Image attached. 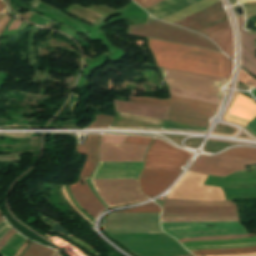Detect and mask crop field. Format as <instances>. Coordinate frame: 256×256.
Segmentation results:
<instances>
[{
	"instance_id": "1",
	"label": "crop field",
	"mask_w": 256,
	"mask_h": 256,
	"mask_svg": "<svg viewBox=\"0 0 256 256\" xmlns=\"http://www.w3.org/2000/svg\"><path fill=\"white\" fill-rule=\"evenodd\" d=\"M149 146L100 143V161H126L143 163ZM126 162H99L91 179L138 178L143 164ZM100 197L110 207L147 200L139 188L138 179L91 180Z\"/></svg>"
},
{
	"instance_id": "2",
	"label": "crop field",
	"mask_w": 256,
	"mask_h": 256,
	"mask_svg": "<svg viewBox=\"0 0 256 256\" xmlns=\"http://www.w3.org/2000/svg\"><path fill=\"white\" fill-rule=\"evenodd\" d=\"M157 65L176 70L230 77L233 62L224 55L196 47L149 39Z\"/></svg>"
},
{
	"instance_id": "3",
	"label": "crop field",
	"mask_w": 256,
	"mask_h": 256,
	"mask_svg": "<svg viewBox=\"0 0 256 256\" xmlns=\"http://www.w3.org/2000/svg\"><path fill=\"white\" fill-rule=\"evenodd\" d=\"M127 34L151 37L219 51L207 38L182 27L158 21L148 15L146 24L128 26Z\"/></svg>"
},
{
	"instance_id": "4",
	"label": "crop field",
	"mask_w": 256,
	"mask_h": 256,
	"mask_svg": "<svg viewBox=\"0 0 256 256\" xmlns=\"http://www.w3.org/2000/svg\"><path fill=\"white\" fill-rule=\"evenodd\" d=\"M160 213H123L111 214L104 218L103 229L106 232H143L163 233L159 225Z\"/></svg>"
},
{
	"instance_id": "5",
	"label": "crop field",
	"mask_w": 256,
	"mask_h": 256,
	"mask_svg": "<svg viewBox=\"0 0 256 256\" xmlns=\"http://www.w3.org/2000/svg\"><path fill=\"white\" fill-rule=\"evenodd\" d=\"M167 86L223 96L220 88L229 80L158 67Z\"/></svg>"
},
{
	"instance_id": "6",
	"label": "crop field",
	"mask_w": 256,
	"mask_h": 256,
	"mask_svg": "<svg viewBox=\"0 0 256 256\" xmlns=\"http://www.w3.org/2000/svg\"><path fill=\"white\" fill-rule=\"evenodd\" d=\"M206 176L186 172L170 190L167 198L191 200H225L222 189L202 186Z\"/></svg>"
},
{
	"instance_id": "7",
	"label": "crop field",
	"mask_w": 256,
	"mask_h": 256,
	"mask_svg": "<svg viewBox=\"0 0 256 256\" xmlns=\"http://www.w3.org/2000/svg\"><path fill=\"white\" fill-rule=\"evenodd\" d=\"M190 156L191 153L155 139L147 152L144 168L182 171L181 166L186 165Z\"/></svg>"
},
{
	"instance_id": "8",
	"label": "crop field",
	"mask_w": 256,
	"mask_h": 256,
	"mask_svg": "<svg viewBox=\"0 0 256 256\" xmlns=\"http://www.w3.org/2000/svg\"><path fill=\"white\" fill-rule=\"evenodd\" d=\"M163 231L170 235L196 233V232H211V231H230L243 230L244 227L239 222H221V223H161ZM207 225H215V227H206ZM245 231H230V232H214L194 235L175 236L176 239L186 237L208 236V235H235L245 234Z\"/></svg>"
},
{
	"instance_id": "9",
	"label": "crop field",
	"mask_w": 256,
	"mask_h": 256,
	"mask_svg": "<svg viewBox=\"0 0 256 256\" xmlns=\"http://www.w3.org/2000/svg\"><path fill=\"white\" fill-rule=\"evenodd\" d=\"M253 164H256V161L225 156H200L189 170L212 176L224 177L236 170L245 169L244 166Z\"/></svg>"
},
{
	"instance_id": "10",
	"label": "crop field",
	"mask_w": 256,
	"mask_h": 256,
	"mask_svg": "<svg viewBox=\"0 0 256 256\" xmlns=\"http://www.w3.org/2000/svg\"><path fill=\"white\" fill-rule=\"evenodd\" d=\"M238 216L237 206L163 207L161 217Z\"/></svg>"
},
{
	"instance_id": "11",
	"label": "crop field",
	"mask_w": 256,
	"mask_h": 256,
	"mask_svg": "<svg viewBox=\"0 0 256 256\" xmlns=\"http://www.w3.org/2000/svg\"><path fill=\"white\" fill-rule=\"evenodd\" d=\"M181 172L143 169L139 183L142 192L154 197L164 191Z\"/></svg>"
},
{
	"instance_id": "12",
	"label": "crop field",
	"mask_w": 256,
	"mask_h": 256,
	"mask_svg": "<svg viewBox=\"0 0 256 256\" xmlns=\"http://www.w3.org/2000/svg\"><path fill=\"white\" fill-rule=\"evenodd\" d=\"M226 16L227 14L222 8V3L221 1H219L197 13H194L186 18H183L175 22L174 24H178L186 28L192 29L194 31H197Z\"/></svg>"
},
{
	"instance_id": "13",
	"label": "crop field",
	"mask_w": 256,
	"mask_h": 256,
	"mask_svg": "<svg viewBox=\"0 0 256 256\" xmlns=\"http://www.w3.org/2000/svg\"><path fill=\"white\" fill-rule=\"evenodd\" d=\"M82 181L84 184L77 181L68 187L78 204L95 219L106 208L94 196L85 180Z\"/></svg>"
},
{
	"instance_id": "14",
	"label": "crop field",
	"mask_w": 256,
	"mask_h": 256,
	"mask_svg": "<svg viewBox=\"0 0 256 256\" xmlns=\"http://www.w3.org/2000/svg\"><path fill=\"white\" fill-rule=\"evenodd\" d=\"M256 115V104L254 101L237 94L224 119L244 126Z\"/></svg>"
},
{
	"instance_id": "15",
	"label": "crop field",
	"mask_w": 256,
	"mask_h": 256,
	"mask_svg": "<svg viewBox=\"0 0 256 256\" xmlns=\"http://www.w3.org/2000/svg\"><path fill=\"white\" fill-rule=\"evenodd\" d=\"M115 110L125 114L148 116L166 120L168 108L151 104L114 100Z\"/></svg>"
},
{
	"instance_id": "16",
	"label": "crop field",
	"mask_w": 256,
	"mask_h": 256,
	"mask_svg": "<svg viewBox=\"0 0 256 256\" xmlns=\"http://www.w3.org/2000/svg\"><path fill=\"white\" fill-rule=\"evenodd\" d=\"M99 138H100V135H89L85 146H77L78 153L88 155L87 161L81 170L80 179L89 178L97 162V159H98L97 148H98Z\"/></svg>"
},
{
	"instance_id": "17",
	"label": "crop field",
	"mask_w": 256,
	"mask_h": 256,
	"mask_svg": "<svg viewBox=\"0 0 256 256\" xmlns=\"http://www.w3.org/2000/svg\"><path fill=\"white\" fill-rule=\"evenodd\" d=\"M130 101L151 103V104L162 105L167 107H169V102H172V103H176L184 106L196 107V108L205 109V110L214 111V112H216L219 107L217 105H212L204 102H198V101H193V100H188V99H183V98H178L173 96H171V100L130 96Z\"/></svg>"
},
{
	"instance_id": "18",
	"label": "crop field",
	"mask_w": 256,
	"mask_h": 256,
	"mask_svg": "<svg viewBox=\"0 0 256 256\" xmlns=\"http://www.w3.org/2000/svg\"><path fill=\"white\" fill-rule=\"evenodd\" d=\"M240 27V34H241V41H242V63L241 65L247 69L251 74H253L256 77V68L250 64L247 60L243 58H247L250 62H252L256 66V57L252 55L250 52H248L244 47H247L250 51H252L255 54V49L253 39H256V35L253 36H247L246 32L242 30L243 22H244V16L237 17Z\"/></svg>"
},
{
	"instance_id": "19",
	"label": "crop field",
	"mask_w": 256,
	"mask_h": 256,
	"mask_svg": "<svg viewBox=\"0 0 256 256\" xmlns=\"http://www.w3.org/2000/svg\"><path fill=\"white\" fill-rule=\"evenodd\" d=\"M199 0H165L149 9L147 11L151 13L155 18L162 19L186 6H189Z\"/></svg>"
},
{
	"instance_id": "20",
	"label": "crop field",
	"mask_w": 256,
	"mask_h": 256,
	"mask_svg": "<svg viewBox=\"0 0 256 256\" xmlns=\"http://www.w3.org/2000/svg\"><path fill=\"white\" fill-rule=\"evenodd\" d=\"M209 38L212 39L226 54L232 58L234 57V45L231 27Z\"/></svg>"
},
{
	"instance_id": "21",
	"label": "crop field",
	"mask_w": 256,
	"mask_h": 256,
	"mask_svg": "<svg viewBox=\"0 0 256 256\" xmlns=\"http://www.w3.org/2000/svg\"><path fill=\"white\" fill-rule=\"evenodd\" d=\"M171 95H177L193 100H198V101H204V102H210V103H216L219 104L221 99L220 97H215L207 94H202V93H196V92H190V91H185V90H180V89H175V88H170Z\"/></svg>"
},
{
	"instance_id": "22",
	"label": "crop field",
	"mask_w": 256,
	"mask_h": 256,
	"mask_svg": "<svg viewBox=\"0 0 256 256\" xmlns=\"http://www.w3.org/2000/svg\"><path fill=\"white\" fill-rule=\"evenodd\" d=\"M235 205L230 201H188L165 199L163 206Z\"/></svg>"
},
{
	"instance_id": "23",
	"label": "crop field",
	"mask_w": 256,
	"mask_h": 256,
	"mask_svg": "<svg viewBox=\"0 0 256 256\" xmlns=\"http://www.w3.org/2000/svg\"><path fill=\"white\" fill-rule=\"evenodd\" d=\"M168 120L207 128L209 120L169 112Z\"/></svg>"
},
{
	"instance_id": "24",
	"label": "crop field",
	"mask_w": 256,
	"mask_h": 256,
	"mask_svg": "<svg viewBox=\"0 0 256 256\" xmlns=\"http://www.w3.org/2000/svg\"><path fill=\"white\" fill-rule=\"evenodd\" d=\"M169 111L187 114V115L196 116V117L205 118V119H209L211 116L215 115L214 112H208V111L188 108L184 106L172 105V104H170Z\"/></svg>"
},
{
	"instance_id": "25",
	"label": "crop field",
	"mask_w": 256,
	"mask_h": 256,
	"mask_svg": "<svg viewBox=\"0 0 256 256\" xmlns=\"http://www.w3.org/2000/svg\"><path fill=\"white\" fill-rule=\"evenodd\" d=\"M26 238L21 237L18 233L12 236L9 241L1 248L0 253L4 256H14L16 251L22 245Z\"/></svg>"
},
{
	"instance_id": "26",
	"label": "crop field",
	"mask_w": 256,
	"mask_h": 256,
	"mask_svg": "<svg viewBox=\"0 0 256 256\" xmlns=\"http://www.w3.org/2000/svg\"><path fill=\"white\" fill-rule=\"evenodd\" d=\"M221 221H239L238 217L221 218H161V222H221Z\"/></svg>"
},
{
	"instance_id": "27",
	"label": "crop field",
	"mask_w": 256,
	"mask_h": 256,
	"mask_svg": "<svg viewBox=\"0 0 256 256\" xmlns=\"http://www.w3.org/2000/svg\"><path fill=\"white\" fill-rule=\"evenodd\" d=\"M231 157H238L250 160H256V149L252 148H233L220 154Z\"/></svg>"
},
{
	"instance_id": "28",
	"label": "crop field",
	"mask_w": 256,
	"mask_h": 256,
	"mask_svg": "<svg viewBox=\"0 0 256 256\" xmlns=\"http://www.w3.org/2000/svg\"><path fill=\"white\" fill-rule=\"evenodd\" d=\"M243 242H256V238H244L236 240H222V241H198L190 243H182L184 247L196 245H216V244H230V243H243Z\"/></svg>"
},
{
	"instance_id": "29",
	"label": "crop field",
	"mask_w": 256,
	"mask_h": 256,
	"mask_svg": "<svg viewBox=\"0 0 256 256\" xmlns=\"http://www.w3.org/2000/svg\"><path fill=\"white\" fill-rule=\"evenodd\" d=\"M230 26L231 25L229 23V20H228V18H226V19H224V20H222L220 22H217V23H215V24H213V25H211V26H209V27L199 31L198 33H201V34L209 37V36L219 32L221 30H224V29H226V28H228Z\"/></svg>"
},
{
	"instance_id": "30",
	"label": "crop field",
	"mask_w": 256,
	"mask_h": 256,
	"mask_svg": "<svg viewBox=\"0 0 256 256\" xmlns=\"http://www.w3.org/2000/svg\"><path fill=\"white\" fill-rule=\"evenodd\" d=\"M53 251L32 243L23 256H51Z\"/></svg>"
},
{
	"instance_id": "31",
	"label": "crop field",
	"mask_w": 256,
	"mask_h": 256,
	"mask_svg": "<svg viewBox=\"0 0 256 256\" xmlns=\"http://www.w3.org/2000/svg\"><path fill=\"white\" fill-rule=\"evenodd\" d=\"M250 250H256L255 247H249V248H240V249H217V250H204V251H195L191 252L194 255L198 254H205V253H214V252H236V251H250ZM256 252V251H254ZM246 253H251V252H246ZM226 254H241V253H221V254H206V255H226ZM206 255H201V256H206Z\"/></svg>"
},
{
	"instance_id": "32",
	"label": "crop field",
	"mask_w": 256,
	"mask_h": 256,
	"mask_svg": "<svg viewBox=\"0 0 256 256\" xmlns=\"http://www.w3.org/2000/svg\"><path fill=\"white\" fill-rule=\"evenodd\" d=\"M254 236V234L250 235H236V236H218V237H199V238H186V239H180L179 242H185V241H194V240H217V239H235V238H244V237H251Z\"/></svg>"
},
{
	"instance_id": "33",
	"label": "crop field",
	"mask_w": 256,
	"mask_h": 256,
	"mask_svg": "<svg viewBox=\"0 0 256 256\" xmlns=\"http://www.w3.org/2000/svg\"><path fill=\"white\" fill-rule=\"evenodd\" d=\"M112 120V117L97 115V121L90 125L88 128H106L110 125Z\"/></svg>"
},
{
	"instance_id": "34",
	"label": "crop field",
	"mask_w": 256,
	"mask_h": 256,
	"mask_svg": "<svg viewBox=\"0 0 256 256\" xmlns=\"http://www.w3.org/2000/svg\"><path fill=\"white\" fill-rule=\"evenodd\" d=\"M122 212H160V208L157 205L150 202L144 206L136 207Z\"/></svg>"
},
{
	"instance_id": "35",
	"label": "crop field",
	"mask_w": 256,
	"mask_h": 256,
	"mask_svg": "<svg viewBox=\"0 0 256 256\" xmlns=\"http://www.w3.org/2000/svg\"><path fill=\"white\" fill-rule=\"evenodd\" d=\"M256 245V243H250V244H237V245H224V246H199V247H188L186 248L189 251L192 250H198V249H210V248H236V247H248Z\"/></svg>"
},
{
	"instance_id": "36",
	"label": "crop field",
	"mask_w": 256,
	"mask_h": 256,
	"mask_svg": "<svg viewBox=\"0 0 256 256\" xmlns=\"http://www.w3.org/2000/svg\"><path fill=\"white\" fill-rule=\"evenodd\" d=\"M126 136H116V135H102L100 142L113 143L121 145Z\"/></svg>"
},
{
	"instance_id": "37",
	"label": "crop field",
	"mask_w": 256,
	"mask_h": 256,
	"mask_svg": "<svg viewBox=\"0 0 256 256\" xmlns=\"http://www.w3.org/2000/svg\"><path fill=\"white\" fill-rule=\"evenodd\" d=\"M153 138L148 137H134V136H127L124 142L126 143H135V144H145L150 145Z\"/></svg>"
},
{
	"instance_id": "38",
	"label": "crop field",
	"mask_w": 256,
	"mask_h": 256,
	"mask_svg": "<svg viewBox=\"0 0 256 256\" xmlns=\"http://www.w3.org/2000/svg\"><path fill=\"white\" fill-rule=\"evenodd\" d=\"M239 81L245 83L250 88L256 87V80L252 79L248 74H246L242 69H240ZM247 86V87H248Z\"/></svg>"
},
{
	"instance_id": "39",
	"label": "crop field",
	"mask_w": 256,
	"mask_h": 256,
	"mask_svg": "<svg viewBox=\"0 0 256 256\" xmlns=\"http://www.w3.org/2000/svg\"><path fill=\"white\" fill-rule=\"evenodd\" d=\"M137 4H139L144 9L162 1V0H134Z\"/></svg>"
},
{
	"instance_id": "40",
	"label": "crop field",
	"mask_w": 256,
	"mask_h": 256,
	"mask_svg": "<svg viewBox=\"0 0 256 256\" xmlns=\"http://www.w3.org/2000/svg\"><path fill=\"white\" fill-rule=\"evenodd\" d=\"M247 128L252 134L256 135V117L253 118L248 124L244 126Z\"/></svg>"
},
{
	"instance_id": "41",
	"label": "crop field",
	"mask_w": 256,
	"mask_h": 256,
	"mask_svg": "<svg viewBox=\"0 0 256 256\" xmlns=\"http://www.w3.org/2000/svg\"><path fill=\"white\" fill-rule=\"evenodd\" d=\"M15 230L12 228L7 234L0 239V248L8 241V239L15 234Z\"/></svg>"
},
{
	"instance_id": "42",
	"label": "crop field",
	"mask_w": 256,
	"mask_h": 256,
	"mask_svg": "<svg viewBox=\"0 0 256 256\" xmlns=\"http://www.w3.org/2000/svg\"><path fill=\"white\" fill-rule=\"evenodd\" d=\"M12 227L9 226L6 221L4 220L3 222L0 223V238Z\"/></svg>"
},
{
	"instance_id": "43",
	"label": "crop field",
	"mask_w": 256,
	"mask_h": 256,
	"mask_svg": "<svg viewBox=\"0 0 256 256\" xmlns=\"http://www.w3.org/2000/svg\"><path fill=\"white\" fill-rule=\"evenodd\" d=\"M4 161H19L17 155H0V162Z\"/></svg>"
},
{
	"instance_id": "44",
	"label": "crop field",
	"mask_w": 256,
	"mask_h": 256,
	"mask_svg": "<svg viewBox=\"0 0 256 256\" xmlns=\"http://www.w3.org/2000/svg\"><path fill=\"white\" fill-rule=\"evenodd\" d=\"M65 188H66L67 193H68L70 199L72 200V202H73L88 218H90L92 221H94V219H92V218L77 204V202H76V201L74 200V198L72 197V195H71V193H70L68 187L65 186Z\"/></svg>"
},
{
	"instance_id": "45",
	"label": "crop field",
	"mask_w": 256,
	"mask_h": 256,
	"mask_svg": "<svg viewBox=\"0 0 256 256\" xmlns=\"http://www.w3.org/2000/svg\"><path fill=\"white\" fill-rule=\"evenodd\" d=\"M61 187V189H62V191H63V193H64V196H65V198L69 201V203L72 205V207L77 211V212H79L76 208H75V206L72 204V202L70 201V199H69V197H68V195H67V193H66V191H65V189H64V187L63 186H60ZM80 213V212H79ZM81 214V213H80ZM82 215V214H81ZM87 221H89L91 224H93V222H91L88 218H86L84 215H82Z\"/></svg>"
},
{
	"instance_id": "46",
	"label": "crop field",
	"mask_w": 256,
	"mask_h": 256,
	"mask_svg": "<svg viewBox=\"0 0 256 256\" xmlns=\"http://www.w3.org/2000/svg\"><path fill=\"white\" fill-rule=\"evenodd\" d=\"M1 14L5 15V16H4L3 19L0 21V29H1V27L3 26V24L7 21V19L9 18V17L7 16V7H5V8L3 9V11L1 12Z\"/></svg>"
},
{
	"instance_id": "47",
	"label": "crop field",
	"mask_w": 256,
	"mask_h": 256,
	"mask_svg": "<svg viewBox=\"0 0 256 256\" xmlns=\"http://www.w3.org/2000/svg\"><path fill=\"white\" fill-rule=\"evenodd\" d=\"M20 24H21L20 21L14 20L8 30L17 29ZM8 30H7V31H8Z\"/></svg>"
},
{
	"instance_id": "48",
	"label": "crop field",
	"mask_w": 256,
	"mask_h": 256,
	"mask_svg": "<svg viewBox=\"0 0 256 256\" xmlns=\"http://www.w3.org/2000/svg\"><path fill=\"white\" fill-rule=\"evenodd\" d=\"M86 181H87V183H88L90 189H91V190L93 191V193L95 194V196L99 199V201H100L106 208H108V207L103 203V201L99 198V196L96 194V192L93 190V188L91 187V185H90V183H89V179H86Z\"/></svg>"
},
{
	"instance_id": "49",
	"label": "crop field",
	"mask_w": 256,
	"mask_h": 256,
	"mask_svg": "<svg viewBox=\"0 0 256 256\" xmlns=\"http://www.w3.org/2000/svg\"><path fill=\"white\" fill-rule=\"evenodd\" d=\"M10 18H11V17H10ZM10 18H9V20H10ZM9 20H8V21H9ZM8 21L5 23L4 27H2L1 32H0V36H2V32H3V30H4L5 26H6V24L8 23Z\"/></svg>"
},
{
	"instance_id": "50",
	"label": "crop field",
	"mask_w": 256,
	"mask_h": 256,
	"mask_svg": "<svg viewBox=\"0 0 256 256\" xmlns=\"http://www.w3.org/2000/svg\"><path fill=\"white\" fill-rule=\"evenodd\" d=\"M241 1H242V3H246V2H254L256 0H241Z\"/></svg>"
},
{
	"instance_id": "51",
	"label": "crop field",
	"mask_w": 256,
	"mask_h": 256,
	"mask_svg": "<svg viewBox=\"0 0 256 256\" xmlns=\"http://www.w3.org/2000/svg\"><path fill=\"white\" fill-rule=\"evenodd\" d=\"M13 20H14V19H11L10 22L7 24V26H6V28H5V31H6V29L10 26V24H11V22H12ZM5 31H4V32H5Z\"/></svg>"
},
{
	"instance_id": "52",
	"label": "crop field",
	"mask_w": 256,
	"mask_h": 256,
	"mask_svg": "<svg viewBox=\"0 0 256 256\" xmlns=\"http://www.w3.org/2000/svg\"><path fill=\"white\" fill-rule=\"evenodd\" d=\"M253 255H256V254H250V255H232V256H253Z\"/></svg>"
},
{
	"instance_id": "53",
	"label": "crop field",
	"mask_w": 256,
	"mask_h": 256,
	"mask_svg": "<svg viewBox=\"0 0 256 256\" xmlns=\"http://www.w3.org/2000/svg\"><path fill=\"white\" fill-rule=\"evenodd\" d=\"M6 5L2 2L1 4H0V10L3 8V7H5ZM2 11V10H1Z\"/></svg>"
},
{
	"instance_id": "54",
	"label": "crop field",
	"mask_w": 256,
	"mask_h": 256,
	"mask_svg": "<svg viewBox=\"0 0 256 256\" xmlns=\"http://www.w3.org/2000/svg\"><path fill=\"white\" fill-rule=\"evenodd\" d=\"M52 256H62L59 253H54Z\"/></svg>"
},
{
	"instance_id": "55",
	"label": "crop field",
	"mask_w": 256,
	"mask_h": 256,
	"mask_svg": "<svg viewBox=\"0 0 256 256\" xmlns=\"http://www.w3.org/2000/svg\"><path fill=\"white\" fill-rule=\"evenodd\" d=\"M3 220H4V219H3V217L1 216V217H0V222L3 221Z\"/></svg>"
},
{
	"instance_id": "56",
	"label": "crop field",
	"mask_w": 256,
	"mask_h": 256,
	"mask_svg": "<svg viewBox=\"0 0 256 256\" xmlns=\"http://www.w3.org/2000/svg\"><path fill=\"white\" fill-rule=\"evenodd\" d=\"M2 15H0V19H1Z\"/></svg>"
},
{
	"instance_id": "57",
	"label": "crop field",
	"mask_w": 256,
	"mask_h": 256,
	"mask_svg": "<svg viewBox=\"0 0 256 256\" xmlns=\"http://www.w3.org/2000/svg\"><path fill=\"white\" fill-rule=\"evenodd\" d=\"M188 256H192V255H188Z\"/></svg>"
},
{
	"instance_id": "58",
	"label": "crop field",
	"mask_w": 256,
	"mask_h": 256,
	"mask_svg": "<svg viewBox=\"0 0 256 256\" xmlns=\"http://www.w3.org/2000/svg\"><path fill=\"white\" fill-rule=\"evenodd\" d=\"M0 3H1V1H0Z\"/></svg>"
},
{
	"instance_id": "59",
	"label": "crop field",
	"mask_w": 256,
	"mask_h": 256,
	"mask_svg": "<svg viewBox=\"0 0 256 256\" xmlns=\"http://www.w3.org/2000/svg\"><path fill=\"white\" fill-rule=\"evenodd\" d=\"M0 216H1V214H0Z\"/></svg>"
}]
</instances>
